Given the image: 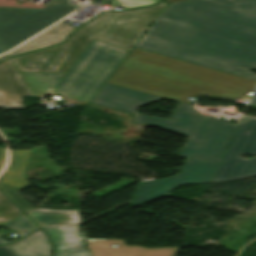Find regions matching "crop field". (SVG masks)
Here are the masks:
<instances>
[{
    "label": "crop field",
    "mask_w": 256,
    "mask_h": 256,
    "mask_svg": "<svg viewBox=\"0 0 256 256\" xmlns=\"http://www.w3.org/2000/svg\"><path fill=\"white\" fill-rule=\"evenodd\" d=\"M24 214L0 192V226Z\"/></svg>",
    "instance_id": "17"
},
{
    "label": "crop field",
    "mask_w": 256,
    "mask_h": 256,
    "mask_svg": "<svg viewBox=\"0 0 256 256\" xmlns=\"http://www.w3.org/2000/svg\"><path fill=\"white\" fill-rule=\"evenodd\" d=\"M35 95L54 94L53 89L63 78V74L21 72Z\"/></svg>",
    "instance_id": "15"
},
{
    "label": "crop field",
    "mask_w": 256,
    "mask_h": 256,
    "mask_svg": "<svg viewBox=\"0 0 256 256\" xmlns=\"http://www.w3.org/2000/svg\"><path fill=\"white\" fill-rule=\"evenodd\" d=\"M29 151H10V163L0 176L1 191L25 212L32 207L19 196V191L29 186L21 177Z\"/></svg>",
    "instance_id": "10"
},
{
    "label": "crop field",
    "mask_w": 256,
    "mask_h": 256,
    "mask_svg": "<svg viewBox=\"0 0 256 256\" xmlns=\"http://www.w3.org/2000/svg\"><path fill=\"white\" fill-rule=\"evenodd\" d=\"M0 256H15L8 245L0 246Z\"/></svg>",
    "instance_id": "20"
},
{
    "label": "crop field",
    "mask_w": 256,
    "mask_h": 256,
    "mask_svg": "<svg viewBox=\"0 0 256 256\" xmlns=\"http://www.w3.org/2000/svg\"><path fill=\"white\" fill-rule=\"evenodd\" d=\"M242 153L256 154V118L244 115L211 182L256 174V158L246 160Z\"/></svg>",
    "instance_id": "7"
},
{
    "label": "crop field",
    "mask_w": 256,
    "mask_h": 256,
    "mask_svg": "<svg viewBox=\"0 0 256 256\" xmlns=\"http://www.w3.org/2000/svg\"><path fill=\"white\" fill-rule=\"evenodd\" d=\"M77 7L68 0H53L43 10L0 7V45L6 52Z\"/></svg>",
    "instance_id": "6"
},
{
    "label": "crop field",
    "mask_w": 256,
    "mask_h": 256,
    "mask_svg": "<svg viewBox=\"0 0 256 256\" xmlns=\"http://www.w3.org/2000/svg\"><path fill=\"white\" fill-rule=\"evenodd\" d=\"M6 159L5 150L0 148V170L2 169Z\"/></svg>",
    "instance_id": "21"
},
{
    "label": "crop field",
    "mask_w": 256,
    "mask_h": 256,
    "mask_svg": "<svg viewBox=\"0 0 256 256\" xmlns=\"http://www.w3.org/2000/svg\"><path fill=\"white\" fill-rule=\"evenodd\" d=\"M93 256H175L179 247L146 249L141 246H125L124 240L88 239ZM118 244V248H112Z\"/></svg>",
    "instance_id": "11"
},
{
    "label": "crop field",
    "mask_w": 256,
    "mask_h": 256,
    "mask_svg": "<svg viewBox=\"0 0 256 256\" xmlns=\"http://www.w3.org/2000/svg\"><path fill=\"white\" fill-rule=\"evenodd\" d=\"M165 6L167 4L162 2L153 7L103 13L72 35L65 44L12 60L20 71L66 73L95 39L130 51Z\"/></svg>",
    "instance_id": "4"
},
{
    "label": "crop field",
    "mask_w": 256,
    "mask_h": 256,
    "mask_svg": "<svg viewBox=\"0 0 256 256\" xmlns=\"http://www.w3.org/2000/svg\"><path fill=\"white\" fill-rule=\"evenodd\" d=\"M9 246L16 256H52V245L41 229Z\"/></svg>",
    "instance_id": "13"
},
{
    "label": "crop field",
    "mask_w": 256,
    "mask_h": 256,
    "mask_svg": "<svg viewBox=\"0 0 256 256\" xmlns=\"http://www.w3.org/2000/svg\"><path fill=\"white\" fill-rule=\"evenodd\" d=\"M249 104L256 105V91H255V93H254V95H253V97H252V99H251Z\"/></svg>",
    "instance_id": "22"
},
{
    "label": "crop field",
    "mask_w": 256,
    "mask_h": 256,
    "mask_svg": "<svg viewBox=\"0 0 256 256\" xmlns=\"http://www.w3.org/2000/svg\"><path fill=\"white\" fill-rule=\"evenodd\" d=\"M108 83L191 103V95L249 100L256 81L133 48ZM158 96V97H159Z\"/></svg>",
    "instance_id": "2"
},
{
    "label": "crop field",
    "mask_w": 256,
    "mask_h": 256,
    "mask_svg": "<svg viewBox=\"0 0 256 256\" xmlns=\"http://www.w3.org/2000/svg\"><path fill=\"white\" fill-rule=\"evenodd\" d=\"M176 1H181V0H167L166 2L171 3V2H176Z\"/></svg>",
    "instance_id": "23"
},
{
    "label": "crop field",
    "mask_w": 256,
    "mask_h": 256,
    "mask_svg": "<svg viewBox=\"0 0 256 256\" xmlns=\"http://www.w3.org/2000/svg\"><path fill=\"white\" fill-rule=\"evenodd\" d=\"M38 225L78 223L75 210H30L26 213Z\"/></svg>",
    "instance_id": "16"
},
{
    "label": "crop field",
    "mask_w": 256,
    "mask_h": 256,
    "mask_svg": "<svg viewBox=\"0 0 256 256\" xmlns=\"http://www.w3.org/2000/svg\"><path fill=\"white\" fill-rule=\"evenodd\" d=\"M7 58V55L0 57V60Z\"/></svg>",
    "instance_id": "24"
},
{
    "label": "crop field",
    "mask_w": 256,
    "mask_h": 256,
    "mask_svg": "<svg viewBox=\"0 0 256 256\" xmlns=\"http://www.w3.org/2000/svg\"><path fill=\"white\" fill-rule=\"evenodd\" d=\"M2 227H6L17 232H28L35 228L36 225L24 214Z\"/></svg>",
    "instance_id": "18"
},
{
    "label": "crop field",
    "mask_w": 256,
    "mask_h": 256,
    "mask_svg": "<svg viewBox=\"0 0 256 256\" xmlns=\"http://www.w3.org/2000/svg\"><path fill=\"white\" fill-rule=\"evenodd\" d=\"M218 165L187 158L180 174L161 180L140 182L130 206L159 198L180 185L210 182Z\"/></svg>",
    "instance_id": "8"
},
{
    "label": "crop field",
    "mask_w": 256,
    "mask_h": 256,
    "mask_svg": "<svg viewBox=\"0 0 256 256\" xmlns=\"http://www.w3.org/2000/svg\"><path fill=\"white\" fill-rule=\"evenodd\" d=\"M159 0H111L112 6H124V8L148 6Z\"/></svg>",
    "instance_id": "19"
},
{
    "label": "crop field",
    "mask_w": 256,
    "mask_h": 256,
    "mask_svg": "<svg viewBox=\"0 0 256 256\" xmlns=\"http://www.w3.org/2000/svg\"><path fill=\"white\" fill-rule=\"evenodd\" d=\"M129 51L95 40L55 88L66 103H88Z\"/></svg>",
    "instance_id": "5"
},
{
    "label": "crop field",
    "mask_w": 256,
    "mask_h": 256,
    "mask_svg": "<svg viewBox=\"0 0 256 256\" xmlns=\"http://www.w3.org/2000/svg\"><path fill=\"white\" fill-rule=\"evenodd\" d=\"M165 98L105 83L91 104L134 114V122L158 126L186 136L179 156L220 163L237 124L205 117L178 102L170 120L136 113L140 106Z\"/></svg>",
    "instance_id": "3"
},
{
    "label": "crop field",
    "mask_w": 256,
    "mask_h": 256,
    "mask_svg": "<svg viewBox=\"0 0 256 256\" xmlns=\"http://www.w3.org/2000/svg\"><path fill=\"white\" fill-rule=\"evenodd\" d=\"M65 20L10 52V55H15L64 41L66 37L75 30V28L69 27L67 24L63 23Z\"/></svg>",
    "instance_id": "14"
},
{
    "label": "crop field",
    "mask_w": 256,
    "mask_h": 256,
    "mask_svg": "<svg viewBox=\"0 0 256 256\" xmlns=\"http://www.w3.org/2000/svg\"><path fill=\"white\" fill-rule=\"evenodd\" d=\"M34 95L10 59L0 63V107L24 108L20 96Z\"/></svg>",
    "instance_id": "9"
},
{
    "label": "crop field",
    "mask_w": 256,
    "mask_h": 256,
    "mask_svg": "<svg viewBox=\"0 0 256 256\" xmlns=\"http://www.w3.org/2000/svg\"><path fill=\"white\" fill-rule=\"evenodd\" d=\"M2 52H4V50L1 48V46H0V53H2Z\"/></svg>",
    "instance_id": "25"
},
{
    "label": "crop field",
    "mask_w": 256,
    "mask_h": 256,
    "mask_svg": "<svg viewBox=\"0 0 256 256\" xmlns=\"http://www.w3.org/2000/svg\"><path fill=\"white\" fill-rule=\"evenodd\" d=\"M136 48L256 80V0L171 3Z\"/></svg>",
    "instance_id": "1"
},
{
    "label": "crop field",
    "mask_w": 256,
    "mask_h": 256,
    "mask_svg": "<svg viewBox=\"0 0 256 256\" xmlns=\"http://www.w3.org/2000/svg\"><path fill=\"white\" fill-rule=\"evenodd\" d=\"M78 225L41 227L54 245V256H90L77 236Z\"/></svg>",
    "instance_id": "12"
},
{
    "label": "crop field",
    "mask_w": 256,
    "mask_h": 256,
    "mask_svg": "<svg viewBox=\"0 0 256 256\" xmlns=\"http://www.w3.org/2000/svg\"><path fill=\"white\" fill-rule=\"evenodd\" d=\"M0 244H4V243H2V242L0 241Z\"/></svg>",
    "instance_id": "26"
}]
</instances>
